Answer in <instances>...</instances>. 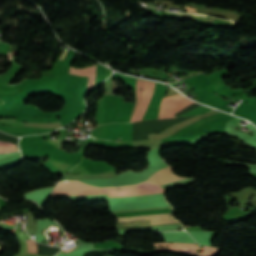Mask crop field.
Here are the masks:
<instances>
[{
  "label": "crop field",
  "instance_id": "8a807250",
  "mask_svg": "<svg viewBox=\"0 0 256 256\" xmlns=\"http://www.w3.org/2000/svg\"><path fill=\"white\" fill-rule=\"evenodd\" d=\"M109 194L110 198L113 197H128V196H145L153 194L164 193V190L157 187L156 185L144 182L138 185L130 187H118V188H104ZM102 189H98L92 186L84 185L82 183L62 182L55 189L53 194L61 195H89V194H107Z\"/></svg>",
  "mask_w": 256,
  "mask_h": 256
},
{
  "label": "crop field",
  "instance_id": "ac0d7876",
  "mask_svg": "<svg viewBox=\"0 0 256 256\" xmlns=\"http://www.w3.org/2000/svg\"><path fill=\"white\" fill-rule=\"evenodd\" d=\"M192 103L193 102L180 94L164 98L160 104L159 118L174 117L173 114L179 112Z\"/></svg>",
  "mask_w": 256,
  "mask_h": 256
},
{
  "label": "crop field",
  "instance_id": "34b2d1b8",
  "mask_svg": "<svg viewBox=\"0 0 256 256\" xmlns=\"http://www.w3.org/2000/svg\"><path fill=\"white\" fill-rule=\"evenodd\" d=\"M184 179H188V178H181V177H176L172 175L171 167H170V168H166L156 172L148 181H151L158 185H162V184L171 183V182L184 180Z\"/></svg>",
  "mask_w": 256,
  "mask_h": 256
},
{
  "label": "crop field",
  "instance_id": "412701ff",
  "mask_svg": "<svg viewBox=\"0 0 256 256\" xmlns=\"http://www.w3.org/2000/svg\"><path fill=\"white\" fill-rule=\"evenodd\" d=\"M154 84L155 83H153V82H148V81L144 82L143 93H142V102H141L140 107L137 111V114H136V117H135L134 121L141 120L142 114L145 111V109L148 105L149 99L151 97V93H152V89L154 87Z\"/></svg>",
  "mask_w": 256,
  "mask_h": 256
},
{
  "label": "crop field",
  "instance_id": "f4fd0767",
  "mask_svg": "<svg viewBox=\"0 0 256 256\" xmlns=\"http://www.w3.org/2000/svg\"><path fill=\"white\" fill-rule=\"evenodd\" d=\"M167 217H172V213H170V214H161V215L119 217L118 222H128V221H135V220H138V219H155V218H167ZM164 222H177V221L174 218L150 220V223H164ZM165 224H170V223H165Z\"/></svg>",
  "mask_w": 256,
  "mask_h": 256
},
{
  "label": "crop field",
  "instance_id": "dd49c442",
  "mask_svg": "<svg viewBox=\"0 0 256 256\" xmlns=\"http://www.w3.org/2000/svg\"><path fill=\"white\" fill-rule=\"evenodd\" d=\"M70 73L81 75V76H93L96 78V66H92L84 69H76L71 67Z\"/></svg>",
  "mask_w": 256,
  "mask_h": 256
},
{
  "label": "crop field",
  "instance_id": "e52e79f7",
  "mask_svg": "<svg viewBox=\"0 0 256 256\" xmlns=\"http://www.w3.org/2000/svg\"><path fill=\"white\" fill-rule=\"evenodd\" d=\"M143 82L144 80H141V79H138V84H137V104L135 105L134 109H133V113H132V117H131V121L133 120V117H134V114L139 106V103L141 101V91L140 89H142V86H143Z\"/></svg>",
  "mask_w": 256,
  "mask_h": 256
},
{
  "label": "crop field",
  "instance_id": "d8731c3e",
  "mask_svg": "<svg viewBox=\"0 0 256 256\" xmlns=\"http://www.w3.org/2000/svg\"><path fill=\"white\" fill-rule=\"evenodd\" d=\"M12 150H17L16 145L10 143V142H2L0 141V152L4 151H12Z\"/></svg>",
  "mask_w": 256,
  "mask_h": 256
},
{
  "label": "crop field",
  "instance_id": "5a996713",
  "mask_svg": "<svg viewBox=\"0 0 256 256\" xmlns=\"http://www.w3.org/2000/svg\"><path fill=\"white\" fill-rule=\"evenodd\" d=\"M93 83H94V79L93 78H89L88 86H87V92H89L93 88Z\"/></svg>",
  "mask_w": 256,
  "mask_h": 256
},
{
  "label": "crop field",
  "instance_id": "3316defc",
  "mask_svg": "<svg viewBox=\"0 0 256 256\" xmlns=\"http://www.w3.org/2000/svg\"><path fill=\"white\" fill-rule=\"evenodd\" d=\"M65 54H66V51H65V53L63 54V56L61 57L62 60L64 59Z\"/></svg>",
  "mask_w": 256,
  "mask_h": 256
},
{
  "label": "crop field",
  "instance_id": "28ad6ade",
  "mask_svg": "<svg viewBox=\"0 0 256 256\" xmlns=\"http://www.w3.org/2000/svg\"><path fill=\"white\" fill-rule=\"evenodd\" d=\"M8 55H9L10 59H13L10 53H8Z\"/></svg>",
  "mask_w": 256,
  "mask_h": 256
}]
</instances>
